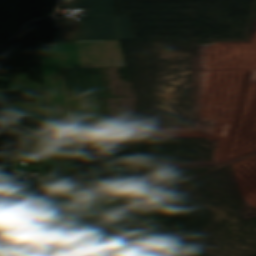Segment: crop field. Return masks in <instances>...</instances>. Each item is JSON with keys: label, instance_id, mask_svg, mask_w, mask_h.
<instances>
[{"label": "crop field", "instance_id": "obj_1", "mask_svg": "<svg viewBox=\"0 0 256 256\" xmlns=\"http://www.w3.org/2000/svg\"><path fill=\"white\" fill-rule=\"evenodd\" d=\"M41 184L46 183L47 176L60 177L58 186H52L50 199L44 203V208L36 214L19 212L17 214L16 200H7L9 227L22 225L24 237H37L53 230L67 226L71 221H79L86 217L101 213L119 206L117 201L126 200L133 193V185H78L76 176L56 174H39ZM78 194L90 207L78 202ZM71 197V198H60ZM18 215L21 224H19Z\"/></svg>", "mask_w": 256, "mask_h": 256}, {"label": "crop field", "instance_id": "obj_2", "mask_svg": "<svg viewBox=\"0 0 256 256\" xmlns=\"http://www.w3.org/2000/svg\"><path fill=\"white\" fill-rule=\"evenodd\" d=\"M54 41V45L37 48L36 57L43 60V77L63 76L61 68L126 66L119 41Z\"/></svg>", "mask_w": 256, "mask_h": 256}, {"label": "crop field", "instance_id": "obj_3", "mask_svg": "<svg viewBox=\"0 0 256 256\" xmlns=\"http://www.w3.org/2000/svg\"><path fill=\"white\" fill-rule=\"evenodd\" d=\"M40 238L52 256H79L102 250L84 220Z\"/></svg>", "mask_w": 256, "mask_h": 256}, {"label": "crop field", "instance_id": "obj_4", "mask_svg": "<svg viewBox=\"0 0 256 256\" xmlns=\"http://www.w3.org/2000/svg\"><path fill=\"white\" fill-rule=\"evenodd\" d=\"M64 41L120 40L115 17H80L58 19Z\"/></svg>", "mask_w": 256, "mask_h": 256}, {"label": "crop field", "instance_id": "obj_5", "mask_svg": "<svg viewBox=\"0 0 256 256\" xmlns=\"http://www.w3.org/2000/svg\"><path fill=\"white\" fill-rule=\"evenodd\" d=\"M43 80L50 122L55 125L59 141H70L72 139L63 77L43 78Z\"/></svg>", "mask_w": 256, "mask_h": 256}, {"label": "crop field", "instance_id": "obj_6", "mask_svg": "<svg viewBox=\"0 0 256 256\" xmlns=\"http://www.w3.org/2000/svg\"><path fill=\"white\" fill-rule=\"evenodd\" d=\"M67 98L107 97L98 68L63 69Z\"/></svg>", "mask_w": 256, "mask_h": 256}, {"label": "crop field", "instance_id": "obj_7", "mask_svg": "<svg viewBox=\"0 0 256 256\" xmlns=\"http://www.w3.org/2000/svg\"><path fill=\"white\" fill-rule=\"evenodd\" d=\"M70 123L102 122L96 98L67 99Z\"/></svg>", "mask_w": 256, "mask_h": 256}, {"label": "crop field", "instance_id": "obj_8", "mask_svg": "<svg viewBox=\"0 0 256 256\" xmlns=\"http://www.w3.org/2000/svg\"><path fill=\"white\" fill-rule=\"evenodd\" d=\"M4 117L39 115L48 116L45 96L36 95L34 103L2 104Z\"/></svg>", "mask_w": 256, "mask_h": 256}, {"label": "crop field", "instance_id": "obj_9", "mask_svg": "<svg viewBox=\"0 0 256 256\" xmlns=\"http://www.w3.org/2000/svg\"><path fill=\"white\" fill-rule=\"evenodd\" d=\"M87 8V16H114L112 0H73L61 2L60 8Z\"/></svg>", "mask_w": 256, "mask_h": 256}, {"label": "crop field", "instance_id": "obj_10", "mask_svg": "<svg viewBox=\"0 0 256 256\" xmlns=\"http://www.w3.org/2000/svg\"><path fill=\"white\" fill-rule=\"evenodd\" d=\"M9 83V90H0V101H4L3 92L43 93L38 82H30L27 74L8 73L7 77H0Z\"/></svg>", "mask_w": 256, "mask_h": 256}, {"label": "crop field", "instance_id": "obj_11", "mask_svg": "<svg viewBox=\"0 0 256 256\" xmlns=\"http://www.w3.org/2000/svg\"><path fill=\"white\" fill-rule=\"evenodd\" d=\"M6 199H16L12 184V176H4L0 168V221L8 224ZM8 230L0 224V232Z\"/></svg>", "mask_w": 256, "mask_h": 256}, {"label": "crop field", "instance_id": "obj_12", "mask_svg": "<svg viewBox=\"0 0 256 256\" xmlns=\"http://www.w3.org/2000/svg\"><path fill=\"white\" fill-rule=\"evenodd\" d=\"M102 173H140L138 166L121 167V170L110 168L85 167L84 173L77 175L79 184H99Z\"/></svg>", "mask_w": 256, "mask_h": 256}, {"label": "crop field", "instance_id": "obj_13", "mask_svg": "<svg viewBox=\"0 0 256 256\" xmlns=\"http://www.w3.org/2000/svg\"><path fill=\"white\" fill-rule=\"evenodd\" d=\"M44 159H46V158H42L44 165H41V166H25L24 163L22 162L13 167L15 170H21V171H33V172H46V173L62 174V169L55 167V165L57 163H55L54 159H47V161H45ZM42 166H44V167H42ZM34 167H38V168H34ZM43 169H45V171H43ZM74 171H75V169H74L73 162H66V166L64 167V174H72V172H74Z\"/></svg>", "mask_w": 256, "mask_h": 256}, {"label": "crop field", "instance_id": "obj_14", "mask_svg": "<svg viewBox=\"0 0 256 256\" xmlns=\"http://www.w3.org/2000/svg\"><path fill=\"white\" fill-rule=\"evenodd\" d=\"M23 241L19 227L2 232L0 233V250Z\"/></svg>", "mask_w": 256, "mask_h": 256}, {"label": "crop field", "instance_id": "obj_15", "mask_svg": "<svg viewBox=\"0 0 256 256\" xmlns=\"http://www.w3.org/2000/svg\"><path fill=\"white\" fill-rule=\"evenodd\" d=\"M116 18H117V22H118V26H119L121 40L134 39L129 17L121 16V17H116Z\"/></svg>", "mask_w": 256, "mask_h": 256}, {"label": "crop field", "instance_id": "obj_16", "mask_svg": "<svg viewBox=\"0 0 256 256\" xmlns=\"http://www.w3.org/2000/svg\"><path fill=\"white\" fill-rule=\"evenodd\" d=\"M0 256H18L14 248L3 251L0 253Z\"/></svg>", "mask_w": 256, "mask_h": 256}, {"label": "crop field", "instance_id": "obj_17", "mask_svg": "<svg viewBox=\"0 0 256 256\" xmlns=\"http://www.w3.org/2000/svg\"><path fill=\"white\" fill-rule=\"evenodd\" d=\"M98 167H111V169L113 168L112 166H98ZM83 169H84V167H81V170H80V172H79V173H77V174H80V173H82V172H83Z\"/></svg>", "mask_w": 256, "mask_h": 256}, {"label": "crop field", "instance_id": "obj_18", "mask_svg": "<svg viewBox=\"0 0 256 256\" xmlns=\"http://www.w3.org/2000/svg\"><path fill=\"white\" fill-rule=\"evenodd\" d=\"M19 174H25V173H19Z\"/></svg>", "mask_w": 256, "mask_h": 256}]
</instances>
